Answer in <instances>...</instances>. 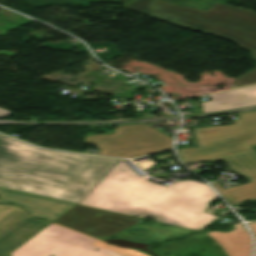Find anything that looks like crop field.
<instances>
[{
    "label": "crop field",
    "instance_id": "1",
    "mask_svg": "<svg viewBox=\"0 0 256 256\" xmlns=\"http://www.w3.org/2000/svg\"><path fill=\"white\" fill-rule=\"evenodd\" d=\"M0 187L197 231L217 218L204 212L218 197L206 184L166 188L116 159L44 151L1 135Z\"/></svg>",
    "mask_w": 256,
    "mask_h": 256
},
{
    "label": "crop field",
    "instance_id": "2",
    "mask_svg": "<svg viewBox=\"0 0 256 256\" xmlns=\"http://www.w3.org/2000/svg\"><path fill=\"white\" fill-rule=\"evenodd\" d=\"M234 125L193 128L199 147L178 150L182 162L224 160L231 171L252 182L224 190L211 183L232 205L256 198V111L238 114Z\"/></svg>",
    "mask_w": 256,
    "mask_h": 256
},
{
    "label": "crop field",
    "instance_id": "3",
    "mask_svg": "<svg viewBox=\"0 0 256 256\" xmlns=\"http://www.w3.org/2000/svg\"><path fill=\"white\" fill-rule=\"evenodd\" d=\"M123 7L195 32L231 40L248 51L256 49V12L218 3L203 11L162 0H134Z\"/></svg>",
    "mask_w": 256,
    "mask_h": 256
},
{
    "label": "crop field",
    "instance_id": "4",
    "mask_svg": "<svg viewBox=\"0 0 256 256\" xmlns=\"http://www.w3.org/2000/svg\"><path fill=\"white\" fill-rule=\"evenodd\" d=\"M97 239L51 223L9 256H121L91 246ZM93 248L99 249L98 251Z\"/></svg>",
    "mask_w": 256,
    "mask_h": 256
},
{
    "label": "crop field",
    "instance_id": "5",
    "mask_svg": "<svg viewBox=\"0 0 256 256\" xmlns=\"http://www.w3.org/2000/svg\"><path fill=\"white\" fill-rule=\"evenodd\" d=\"M111 135L87 136L84 143H92L100 155L134 158L172 148V138L145 125L118 126Z\"/></svg>",
    "mask_w": 256,
    "mask_h": 256
},
{
    "label": "crop field",
    "instance_id": "6",
    "mask_svg": "<svg viewBox=\"0 0 256 256\" xmlns=\"http://www.w3.org/2000/svg\"><path fill=\"white\" fill-rule=\"evenodd\" d=\"M141 220L139 218L76 205L54 222L103 239Z\"/></svg>",
    "mask_w": 256,
    "mask_h": 256
},
{
    "label": "crop field",
    "instance_id": "7",
    "mask_svg": "<svg viewBox=\"0 0 256 256\" xmlns=\"http://www.w3.org/2000/svg\"><path fill=\"white\" fill-rule=\"evenodd\" d=\"M48 224L32 218L16 206L0 205V253H10Z\"/></svg>",
    "mask_w": 256,
    "mask_h": 256
},
{
    "label": "crop field",
    "instance_id": "8",
    "mask_svg": "<svg viewBox=\"0 0 256 256\" xmlns=\"http://www.w3.org/2000/svg\"><path fill=\"white\" fill-rule=\"evenodd\" d=\"M11 202L23 207L31 215L53 221L74 204L0 188V203Z\"/></svg>",
    "mask_w": 256,
    "mask_h": 256
},
{
    "label": "crop field",
    "instance_id": "9",
    "mask_svg": "<svg viewBox=\"0 0 256 256\" xmlns=\"http://www.w3.org/2000/svg\"><path fill=\"white\" fill-rule=\"evenodd\" d=\"M211 101L202 102L204 113L256 105V85L209 95Z\"/></svg>",
    "mask_w": 256,
    "mask_h": 256
},
{
    "label": "crop field",
    "instance_id": "10",
    "mask_svg": "<svg viewBox=\"0 0 256 256\" xmlns=\"http://www.w3.org/2000/svg\"><path fill=\"white\" fill-rule=\"evenodd\" d=\"M219 243L229 256H250L251 241L242 224H236L234 230L229 233L211 231L207 233Z\"/></svg>",
    "mask_w": 256,
    "mask_h": 256
},
{
    "label": "crop field",
    "instance_id": "11",
    "mask_svg": "<svg viewBox=\"0 0 256 256\" xmlns=\"http://www.w3.org/2000/svg\"><path fill=\"white\" fill-rule=\"evenodd\" d=\"M92 245L113 250V251H115L119 254H122L124 256H152V255H150L147 252L142 251V250L120 248V247L114 246L110 243H107V242H104V241H101V240L96 241Z\"/></svg>",
    "mask_w": 256,
    "mask_h": 256
},
{
    "label": "crop field",
    "instance_id": "12",
    "mask_svg": "<svg viewBox=\"0 0 256 256\" xmlns=\"http://www.w3.org/2000/svg\"><path fill=\"white\" fill-rule=\"evenodd\" d=\"M252 57L254 60H256V50L250 51ZM250 84H256V69L252 72L246 73L242 76H240L237 81L234 83L232 88L244 86V85H250Z\"/></svg>",
    "mask_w": 256,
    "mask_h": 256
},
{
    "label": "crop field",
    "instance_id": "13",
    "mask_svg": "<svg viewBox=\"0 0 256 256\" xmlns=\"http://www.w3.org/2000/svg\"><path fill=\"white\" fill-rule=\"evenodd\" d=\"M250 228L252 229L255 238H256V223H249Z\"/></svg>",
    "mask_w": 256,
    "mask_h": 256
},
{
    "label": "crop field",
    "instance_id": "14",
    "mask_svg": "<svg viewBox=\"0 0 256 256\" xmlns=\"http://www.w3.org/2000/svg\"><path fill=\"white\" fill-rule=\"evenodd\" d=\"M0 112L1 113H9V111L3 110V109H0Z\"/></svg>",
    "mask_w": 256,
    "mask_h": 256
},
{
    "label": "crop field",
    "instance_id": "15",
    "mask_svg": "<svg viewBox=\"0 0 256 256\" xmlns=\"http://www.w3.org/2000/svg\"><path fill=\"white\" fill-rule=\"evenodd\" d=\"M0 256H8V255L0 254Z\"/></svg>",
    "mask_w": 256,
    "mask_h": 256
},
{
    "label": "crop field",
    "instance_id": "16",
    "mask_svg": "<svg viewBox=\"0 0 256 256\" xmlns=\"http://www.w3.org/2000/svg\"><path fill=\"white\" fill-rule=\"evenodd\" d=\"M1 116H9V115H0V117H1Z\"/></svg>",
    "mask_w": 256,
    "mask_h": 256
},
{
    "label": "crop field",
    "instance_id": "17",
    "mask_svg": "<svg viewBox=\"0 0 256 256\" xmlns=\"http://www.w3.org/2000/svg\"><path fill=\"white\" fill-rule=\"evenodd\" d=\"M1 114V113H0Z\"/></svg>",
    "mask_w": 256,
    "mask_h": 256
}]
</instances>
